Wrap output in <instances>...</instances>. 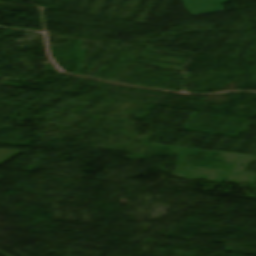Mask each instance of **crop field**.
<instances>
[{
    "label": "crop field",
    "mask_w": 256,
    "mask_h": 256,
    "mask_svg": "<svg viewBox=\"0 0 256 256\" xmlns=\"http://www.w3.org/2000/svg\"><path fill=\"white\" fill-rule=\"evenodd\" d=\"M187 10L192 16L223 11L221 3L229 0H182ZM196 17V16H195Z\"/></svg>",
    "instance_id": "8a807250"
},
{
    "label": "crop field",
    "mask_w": 256,
    "mask_h": 256,
    "mask_svg": "<svg viewBox=\"0 0 256 256\" xmlns=\"http://www.w3.org/2000/svg\"><path fill=\"white\" fill-rule=\"evenodd\" d=\"M22 152L0 150V164Z\"/></svg>",
    "instance_id": "ac0d7876"
}]
</instances>
